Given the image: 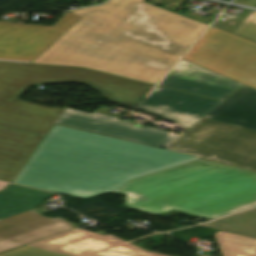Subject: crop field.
Here are the masks:
<instances>
[{
	"instance_id": "1",
	"label": "crop field",
	"mask_w": 256,
	"mask_h": 256,
	"mask_svg": "<svg viewBox=\"0 0 256 256\" xmlns=\"http://www.w3.org/2000/svg\"><path fill=\"white\" fill-rule=\"evenodd\" d=\"M85 198L125 194L124 206L216 218L256 206V172L54 125L12 181Z\"/></svg>"
},
{
	"instance_id": "2",
	"label": "crop field",
	"mask_w": 256,
	"mask_h": 256,
	"mask_svg": "<svg viewBox=\"0 0 256 256\" xmlns=\"http://www.w3.org/2000/svg\"><path fill=\"white\" fill-rule=\"evenodd\" d=\"M110 0L82 17L32 63L81 66L156 84L207 25L144 2Z\"/></svg>"
},
{
	"instance_id": "3",
	"label": "crop field",
	"mask_w": 256,
	"mask_h": 256,
	"mask_svg": "<svg viewBox=\"0 0 256 256\" xmlns=\"http://www.w3.org/2000/svg\"><path fill=\"white\" fill-rule=\"evenodd\" d=\"M138 109L190 128L166 148L256 170V90L243 86L219 102L161 88Z\"/></svg>"
},
{
	"instance_id": "4",
	"label": "crop field",
	"mask_w": 256,
	"mask_h": 256,
	"mask_svg": "<svg viewBox=\"0 0 256 256\" xmlns=\"http://www.w3.org/2000/svg\"><path fill=\"white\" fill-rule=\"evenodd\" d=\"M77 81L109 100L136 107L152 85L82 68L0 62V125L45 134L62 109L16 100L32 84Z\"/></svg>"
},
{
	"instance_id": "5",
	"label": "crop field",
	"mask_w": 256,
	"mask_h": 256,
	"mask_svg": "<svg viewBox=\"0 0 256 256\" xmlns=\"http://www.w3.org/2000/svg\"><path fill=\"white\" fill-rule=\"evenodd\" d=\"M222 256H256V239L218 231ZM0 256H165L145 251L111 235H100L78 228L57 234Z\"/></svg>"
},
{
	"instance_id": "6",
	"label": "crop field",
	"mask_w": 256,
	"mask_h": 256,
	"mask_svg": "<svg viewBox=\"0 0 256 256\" xmlns=\"http://www.w3.org/2000/svg\"><path fill=\"white\" fill-rule=\"evenodd\" d=\"M256 89V43L211 27L183 57Z\"/></svg>"
},
{
	"instance_id": "7",
	"label": "crop field",
	"mask_w": 256,
	"mask_h": 256,
	"mask_svg": "<svg viewBox=\"0 0 256 256\" xmlns=\"http://www.w3.org/2000/svg\"><path fill=\"white\" fill-rule=\"evenodd\" d=\"M78 19L67 13L52 27L0 22V61L30 63Z\"/></svg>"
},
{
	"instance_id": "8",
	"label": "crop field",
	"mask_w": 256,
	"mask_h": 256,
	"mask_svg": "<svg viewBox=\"0 0 256 256\" xmlns=\"http://www.w3.org/2000/svg\"><path fill=\"white\" fill-rule=\"evenodd\" d=\"M117 117L65 109L53 123L162 147L177 135L117 120Z\"/></svg>"
},
{
	"instance_id": "9",
	"label": "crop field",
	"mask_w": 256,
	"mask_h": 256,
	"mask_svg": "<svg viewBox=\"0 0 256 256\" xmlns=\"http://www.w3.org/2000/svg\"><path fill=\"white\" fill-rule=\"evenodd\" d=\"M60 218H47L30 210L0 221V252L74 229Z\"/></svg>"
},
{
	"instance_id": "10",
	"label": "crop field",
	"mask_w": 256,
	"mask_h": 256,
	"mask_svg": "<svg viewBox=\"0 0 256 256\" xmlns=\"http://www.w3.org/2000/svg\"><path fill=\"white\" fill-rule=\"evenodd\" d=\"M160 86L223 101L242 84L181 60Z\"/></svg>"
},
{
	"instance_id": "11",
	"label": "crop field",
	"mask_w": 256,
	"mask_h": 256,
	"mask_svg": "<svg viewBox=\"0 0 256 256\" xmlns=\"http://www.w3.org/2000/svg\"><path fill=\"white\" fill-rule=\"evenodd\" d=\"M42 135L0 126V180L9 182Z\"/></svg>"
},
{
	"instance_id": "12",
	"label": "crop field",
	"mask_w": 256,
	"mask_h": 256,
	"mask_svg": "<svg viewBox=\"0 0 256 256\" xmlns=\"http://www.w3.org/2000/svg\"><path fill=\"white\" fill-rule=\"evenodd\" d=\"M53 194L9 184L3 191H0V220L30 210Z\"/></svg>"
},
{
	"instance_id": "13",
	"label": "crop field",
	"mask_w": 256,
	"mask_h": 256,
	"mask_svg": "<svg viewBox=\"0 0 256 256\" xmlns=\"http://www.w3.org/2000/svg\"><path fill=\"white\" fill-rule=\"evenodd\" d=\"M200 226L256 238V208Z\"/></svg>"
},
{
	"instance_id": "14",
	"label": "crop field",
	"mask_w": 256,
	"mask_h": 256,
	"mask_svg": "<svg viewBox=\"0 0 256 256\" xmlns=\"http://www.w3.org/2000/svg\"><path fill=\"white\" fill-rule=\"evenodd\" d=\"M235 34L252 39L256 41V10L244 21V23L237 29Z\"/></svg>"
},
{
	"instance_id": "15",
	"label": "crop field",
	"mask_w": 256,
	"mask_h": 256,
	"mask_svg": "<svg viewBox=\"0 0 256 256\" xmlns=\"http://www.w3.org/2000/svg\"><path fill=\"white\" fill-rule=\"evenodd\" d=\"M6 185H7L6 183L0 182V189H2L3 187H5Z\"/></svg>"
},
{
	"instance_id": "16",
	"label": "crop field",
	"mask_w": 256,
	"mask_h": 256,
	"mask_svg": "<svg viewBox=\"0 0 256 256\" xmlns=\"http://www.w3.org/2000/svg\"><path fill=\"white\" fill-rule=\"evenodd\" d=\"M245 1H248V0H245Z\"/></svg>"
}]
</instances>
